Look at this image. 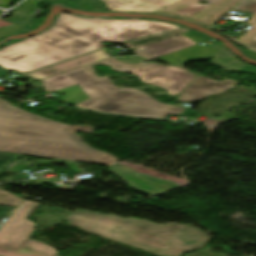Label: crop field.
Segmentation results:
<instances>
[{
	"label": "crop field",
	"instance_id": "214f88e0",
	"mask_svg": "<svg viewBox=\"0 0 256 256\" xmlns=\"http://www.w3.org/2000/svg\"><path fill=\"white\" fill-rule=\"evenodd\" d=\"M21 155L7 154L0 152V172L8 167L12 162H14Z\"/></svg>",
	"mask_w": 256,
	"mask_h": 256
},
{
	"label": "crop field",
	"instance_id": "d9b57169",
	"mask_svg": "<svg viewBox=\"0 0 256 256\" xmlns=\"http://www.w3.org/2000/svg\"><path fill=\"white\" fill-rule=\"evenodd\" d=\"M200 46H194L188 49H184L172 54H169L167 56L161 57L159 59L165 60L170 62V66H174V67H181L183 68V65L188 61L191 60L190 58H188L187 56H185L187 53L193 51L194 49L198 48Z\"/></svg>",
	"mask_w": 256,
	"mask_h": 256
},
{
	"label": "crop field",
	"instance_id": "dafd665d",
	"mask_svg": "<svg viewBox=\"0 0 256 256\" xmlns=\"http://www.w3.org/2000/svg\"><path fill=\"white\" fill-rule=\"evenodd\" d=\"M23 29H24V27H22L18 24H13V25H9L6 27H2V28H0V38L7 34L18 33L20 31H22Z\"/></svg>",
	"mask_w": 256,
	"mask_h": 256
},
{
	"label": "crop field",
	"instance_id": "5a996713",
	"mask_svg": "<svg viewBox=\"0 0 256 256\" xmlns=\"http://www.w3.org/2000/svg\"><path fill=\"white\" fill-rule=\"evenodd\" d=\"M237 84L238 82L230 80L214 81L198 75L178 100L182 102L201 100L208 95L222 93Z\"/></svg>",
	"mask_w": 256,
	"mask_h": 256
},
{
	"label": "crop field",
	"instance_id": "d8731c3e",
	"mask_svg": "<svg viewBox=\"0 0 256 256\" xmlns=\"http://www.w3.org/2000/svg\"><path fill=\"white\" fill-rule=\"evenodd\" d=\"M106 170L120 178L129 186L149 196L181 187L173 181L152 177L148 174H140L132 168L119 163Z\"/></svg>",
	"mask_w": 256,
	"mask_h": 256
},
{
	"label": "crop field",
	"instance_id": "f4fd0767",
	"mask_svg": "<svg viewBox=\"0 0 256 256\" xmlns=\"http://www.w3.org/2000/svg\"><path fill=\"white\" fill-rule=\"evenodd\" d=\"M38 202L25 200L0 229L1 256H56L57 250L43 241L29 239L35 223L26 217Z\"/></svg>",
	"mask_w": 256,
	"mask_h": 256
},
{
	"label": "crop field",
	"instance_id": "3316defc",
	"mask_svg": "<svg viewBox=\"0 0 256 256\" xmlns=\"http://www.w3.org/2000/svg\"><path fill=\"white\" fill-rule=\"evenodd\" d=\"M105 50L106 49L98 51V52H94V53H91V54H88V55H85V56H82V57H79V58H76L73 60H70L67 62H64L61 64H58V65H55V66H52V67H49L46 69H42V70H39V71H36L33 73H29L26 75H28L36 80H41V79H44V78L68 71V70H72V69L81 67L83 65L110 57V55L105 53Z\"/></svg>",
	"mask_w": 256,
	"mask_h": 256
},
{
	"label": "crop field",
	"instance_id": "22f410ed",
	"mask_svg": "<svg viewBox=\"0 0 256 256\" xmlns=\"http://www.w3.org/2000/svg\"><path fill=\"white\" fill-rule=\"evenodd\" d=\"M234 10L253 16L246 22L253 27L246 31L237 41L256 50V0H243Z\"/></svg>",
	"mask_w": 256,
	"mask_h": 256
},
{
	"label": "crop field",
	"instance_id": "5142ce71",
	"mask_svg": "<svg viewBox=\"0 0 256 256\" xmlns=\"http://www.w3.org/2000/svg\"><path fill=\"white\" fill-rule=\"evenodd\" d=\"M191 31V29L188 28H183V29H179V30H175V31H171V32H167V33H163V34H159V35H154V36H150V37H146V38H142V39H137V40H132V41H128V42H123L120 43L128 48H130L131 50L136 49L140 46H145L147 44L156 42V41H160L166 38H170L173 37L175 35H179L181 33L184 32H189Z\"/></svg>",
	"mask_w": 256,
	"mask_h": 256
},
{
	"label": "crop field",
	"instance_id": "730fd06b",
	"mask_svg": "<svg viewBox=\"0 0 256 256\" xmlns=\"http://www.w3.org/2000/svg\"><path fill=\"white\" fill-rule=\"evenodd\" d=\"M11 0H0V8L7 6Z\"/></svg>",
	"mask_w": 256,
	"mask_h": 256
},
{
	"label": "crop field",
	"instance_id": "d1516ede",
	"mask_svg": "<svg viewBox=\"0 0 256 256\" xmlns=\"http://www.w3.org/2000/svg\"><path fill=\"white\" fill-rule=\"evenodd\" d=\"M112 9L120 11L156 12L178 0H108Z\"/></svg>",
	"mask_w": 256,
	"mask_h": 256
},
{
	"label": "crop field",
	"instance_id": "733c2abd",
	"mask_svg": "<svg viewBox=\"0 0 256 256\" xmlns=\"http://www.w3.org/2000/svg\"><path fill=\"white\" fill-rule=\"evenodd\" d=\"M221 48L222 47L217 44L212 47L205 45L188 56L195 60L212 59Z\"/></svg>",
	"mask_w": 256,
	"mask_h": 256
},
{
	"label": "crop field",
	"instance_id": "a9b5d70f",
	"mask_svg": "<svg viewBox=\"0 0 256 256\" xmlns=\"http://www.w3.org/2000/svg\"><path fill=\"white\" fill-rule=\"evenodd\" d=\"M244 55H246L248 58L254 59L256 60V53L251 51V52H245L243 53Z\"/></svg>",
	"mask_w": 256,
	"mask_h": 256
},
{
	"label": "crop field",
	"instance_id": "cbeb9de0",
	"mask_svg": "<svg viewBox=\"0 0 256 256\" xmlns=\"http://www.w3.org/2000/svg\"><path fill=\"white\" fill-rule=\"evenodd\" d=\"M211 63L217 64L226 71L248 72L256 75V68L240 62L237 57L227 48L223 47L221 51L211 60Z\"/></svg>",
	"mask_w": 256,
	"mask_h": 256
},
{
	"label": "crop field",
	"instance_id": "ac0d7876",
	"mask_svg": "<svg viewBox=\"0 0 256 256\" xmlns=\"http://www.w3.org/2000/svg\"><path fill=\"white\" fill-rule=\"evenodd\" d=\"M91 126H68L28 113L0 100V151L112 166L118 159L91 149L74 132Z\"/></svg>",
	"mask_w": 256,
	"mask_h": 256
},
{
	"label": "crop field",
	"instance_id": "34b2d1b8",
	"mask_svg": "<svg viewBox=\"0 0 256 256\" xmlns=\"http://www.w3.org/2000/svg\"><path fill=\"white\" fill-rule=\"evenodd\" d=\"M64 220L80 229L132 245L157 256H182L183 253L204 247L210 239L198 228L187 224L157 225L136 218L114 214L76 210Z\"/></svg>",
	"mask_w": 256,
	"mask_h": 256
},
{
	"label": "crop field",
	"instance_id": "28ad6ade",
	"mask_svg": "<svg viewBox=\"0 0 256 256\" xmlns=\"http://www.w3.org/2000/svg\"><path fill=\"white\" fill-rule=\"evenodd\" d=\"M189 46H191L189 43H187L180 37L175 36L167 40L150 44L133 52L142 57L153 59Z\"/></svg>",
	"mask_w": 256,
	"mask_h": 256
},
{
	"label": "crop field",
	"instance_id": "4177f3b9",
	"mask_svg": "<svg viewBox=\"0 0 256 256\" xmlns=\"http://www.w3.org/2000/svg\"><path fill=\"white\" fill-rule=\"evenodd\" d=\"M195 113H196L195 111L186 109V110L182 113V115H185V116H192V115H195Z\"/></svg>",
	"mask_w": 256,
	"mask_h": 256
},
{
	"label": "crop field",
	"instance_id": "dd49c442",
	"mask_svg": "<svg viewBox=\"0 0 256 256\" xmlns=\"http://www.w3.org/2000/svg\"><path fill=\"white\" fill-rule=\"evenodd\" d=\"M88 109L128 116L164 119L167 114L180 115L184 108L158 103L139 90L121 88L103 103Z\"/></svg>",
	"mask_w": 256,
	"mask_h": 256
},
{
	"label": "crop field",
	"instance_id": "8a807250",
	"mask_svg": "<svg viewBox=\"0 0 256 256\" xmlns=\"http://www.w3.org/2000/svg\"><path fill=\"white\" fill-rule=\"evenodd\" d=\"M180 26L144 19H109L60 14L46 32L0 51V66L30 72L68 58L100 49L97 42H117L142 38Z\"/></svg>",
	"mask_w": 256,
	"mask_h": 256
},
{
	"label": "crop field",
	"instance_id": "bc2a9ffb",
	"mask_svg": "<svg viewBox=\"0 0 256 256\" xmlns=\"http://www.w3.org/2000/svg\"><path fill=\"white\" fill-rule=\"evenodd\" d=\"M179 36L192 45L210 40V38H208L202 34H199L197 32L184 33Z\"/></svg>",
	"mask_w": 256,
	"mask_h": 256
},
{
	"label": "crop field",
	"instance_id": "92a150f3",
	"mask_svg": "<svg viewBox=\"0 0 256 256\" xmlns=\"http://www.w3.org/2000/svg\"><path fill=\"white\" fill-rule=\"evenodd\" d=\"M118 62L129 65L131 67H136L139 65L141 62L147 61L149 59L142 58L140 56L137 57H130V58H120L116 57L115 58Z\"/></svg>",
	"mask_w": 256,
	"mask_h": 256
},
{
	"label": "crop field",
	"instance_id": "00972430",
	"mask_svg": "<svg viewBox=\"0 0 256 256\" xmlns=\"http://www.w3.org/2000/svg\"><path fill=\"white\" fill-rule=\"evenodd\" d=\"M14 208H4L0 206V221L3 217H8Z\"/></svg>",
	"mask_w": 256,
	"mask_h": 256
},
{
	"label": "crop field",
	"instance_id": "4a817a6b",
	"mask_svg": "<svg viewBox=\"0 0 256 256\" xmlns=\"http://www.w3.org/2000/svg\"><path fill=\"white\" fill-rule=\"evenodd\" d=\"M22 199L7 192L0 190V204L17 206Z\"/></svg>",
	"mask_w": 256,
	"mask_h": 256
},
{
	"label": "crop field",
	"instance_id": "412701ff",
	"mask_svg": "<svg viewBox=\"0 0 256 256\" xmlns=\"http://www.w3.org/2000/svg\"><path fill=\"white\" fill-rule=\"evenodd\" d=\"M105 64L111 66L112 70L124 71L131 73L140 78L143 83L163 88L167 90V94L176 96L196 75L190 73V70L174 68L166 65H155L141 63L136 68H130L126 65L119 64L113 57L86 65L84 67L65 72L41 81L47 92H53L68 86L77 84L90 98L76 107L86 108L90 105L98 103L110 95L117 89L109 79L104 76L99 78L92 65Z\"/></svg>",
	"mask_w": 256,
	"mask_h": 256
},
{
	"label": "crop field",
	"instance_id": "e52e79f7",
	"mask_svg": "<svg viewBox=\"0 0 256 256\" xmlns=\"http://www.w3.org/2000/svg\"><path fill=\"white\" fill-rule=\"evenodd\" d=\"M199 0H181L157 13L171 14L212 26L240 0H206L210 6L197 4ZM215 14V16H210Z\"/></svg>",
	"mask_w": 256,
	"mask_h": 256
}]
</instances>
